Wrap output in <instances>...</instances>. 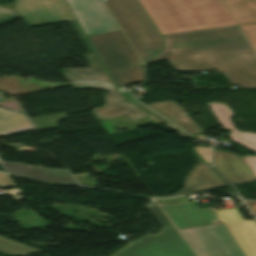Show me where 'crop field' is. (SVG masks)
I'll list each match as a JSON object with an SVG mask.
<instances>
[{"instance_id": "1", "label": "crop field", "mask_w": 256, "mask_h": 256, "mask_svg": "<svg viewBox=\"0 0 256 256\" xmlns=\"http://www.w3.org/2000/svg\"><path fill=\"white\" fill-rule=\"evenodd\" d=\"M151 63L167 59L175 71L224 72L231 85L256 88V54L239 26L164 36Z\"/></svg>"}, {"instance_id": "2", "label": "crop field", "mask_w": 256, "mask_h": 256, "mask_svg": "<svg viewBox=\"0 0 256 256\" xmlns=\"http://www.w3.org/2000/svg\"><path fill=\"white\" fill-rule=\"evenodd\" d=\"M198 256H256V223L235 207L162 206ZM232 212V213H230ZM221 220V224L213 221Z\"/></svg>"}, {"instance_id": "3", "label": "crop field", "mask_w": 256, "mask_h": 256, "mask_svg": "<svg viewBox=\"0 0 256 256\" xmlns=\"http://www.w3.org/2000/svg\"><path fill=\"white\" fill-rule=\"evenodd\" d=\"M161 34L237 25L221 0H139Z\"/></svg>"}, {"instance_id": "4", "label": "crop field", "mask_w": 256, "mask_h": 256, "mask_svg": "<svg viewBox=\"0 0 256 256\" xmlns=\"http://www.w3.org/2000/svg\"><path fill=\"white\" fill-rule=\"evenodd\" d=\"M71 24L89 53L84 55V57L91 68L60 69V71L74 89H99L109 92L103 97L106 100L105 106L100 109L92 110L91 112L93 114H95L102 121L122 115H127L130 120L147 116L159 123L177 130L181 137H185L183 132L178 130L176 127L148 115L123 97L116 90L111 79L109 78L81 29L77 25L76 21L71 22Z\"/></svg>"}, {"instance_id": "5", "label": "crop field", "mask_w": 256, "mask_h": 256, "mask_svg": "<svg viewBox=\"0 0 256 256\" xmlns=\"http://www.w3.org/2000/svg\"><path fill=\"white\" fill-rule=\"evenodd\" d=\"M106 3L142 62L161 51L164 40L138 0H106Z\"/></svg>"}, {"instance_id": "6", "label": "crop field", "mask_w": 256, "mask_h": 256, "mask_svg": "<svg viewBox=\"0 0 256 256\" xmlns=\"http://www.w3.org/2000/svg\"><path fill=\"white\" fill-rule=\"evenodd\" d=\"M117 88L143 81L140 61L121 30L88 37Z\"/></svg>"}, {"instance_id": "7", "label": "crop field", "mask_w": 256, "mask_h": 256, "mask_svg": "<svg viewBox=\"0 0 256 256\" xmlns=\"http://www.w3.org/2000/svg\"><path fill=\"white\" fill-rule=\"evenodd\" d=\"M17 17H19V14L16 10L10 11L0 7V24ZM32 129H34V127L24 114L0 108V137ZM0 164L7 172L39 180L47 182L76 183L67 170L27 166L20 163L3 162L1 159Z\"/></svg>"}, {"instance_id": "8", "label": "crop field", "mask_w": 256, "mask_h": 256, "mask_svg": "<svg viewBox=\"0 0 256 256\" xmlns=\"http://www.w3.org/2000/svg\"><path fill=\"white\" fill-rule=\"evenodd\" d=\"M149 210L162 226L157 235H147L114 256H196L159 206Z\"/></svg>"}, {"instance_id": "9", "label": "crop field", "mask_w": 256, "mask_h": 256, "mask_svg": "<svg viewBox=\"0 0 256 256\" xmlns=\"http://www.w3.org/2000/svg\"><path fill=\"white\" fill-rule=\"evenodd\" d=\"M86 36L118 30L102 0H65ZM76 20V21H77Z\"/></svg>"}, {"instance_id": "10", "label": "crop field", "mask_w": 256, "mask_h": 256, "mask_svg": "<svg viewBox=\"0 0 256 256\" xmlns=\"http://www.w3.org/2000/svg\"><path fill=\"white\" fill-rule=\"evenodd\" d=\"M15 8L28 27L74 20L63 0H16Z\"/></svg>"}, {"instance_id": "11", "label": "crop field", "mask_w": 256, "mask_h": 256, "mask_svg": "<svg viewBox=\"0 0 256 256\" xmlns=\"http://www.w3.org/2000/svg\"><path fill=\"white\" fill-rule=\"evenodd\" d=\"M213 165L232 185L256 181L240 155L213 149Z\"/></svg>"}, {"instance_id": "12", "label": "crop field", "mask_w": 256, "mask_h": 256, "mask_svg": "<svg viewBox=\"0 0 256 256\" xmlns=\"http://www.w3.org/2000/svg\"><path fill=\"white\" fill-rule=\"evenodd\" d=\"M191 152L198 162L187 175L184 187L173 195L228 186L193 150Z\"/></svg>"}, {"instance_id": "13", "label": "crop field", "mask_w": 256, "mask_h": 256, "mask_svg": "<svg viewBox=\"0 0 256 256\" xmlns=\"http://www.w3.org/2000/svg\"><path fill=\"white\" fill-rule=\"evenodd\" d=\"M208 104L215 113L220 123L222 124L223 128L232 130L229 135L233 141L256 151V134H253L251 132L243 133L235 130L230 120V116H232L233 113L228 105L217 102H211ZM243 159L256 176V157H243Z\"/></svg>"}, {"instance_id": "14", "label": "crop field", "mask_w": 256, "mask_h": 256, "mask_svg": "<svg viewBox=\"0 0 256 256\" xmlns=\"http://www.w3.org/2000/svg\"><path fill=\"white\" fill-rule=\"evenodd\" d=\"M238 25L256 22V0H222Z\"/></svg>"}, {"instance_id": "15", "label": "crop field", "mask_w": 256, "mask_h": 256, "mask_svg": "<svg viewBox=\"0 0 256 256\" xmlns=\"http://www.w3.org/2000/svg\"><path fill=\"white\" fill-rule=\"evenodd\" d=\"M173 102L166 101V102L152 103L148 106L154 109L155 111L159 112L160 114H162L163 116H165L166 118L174 122L175 124L179 125L185 131L194 129V127H192L189 123H187L184 119L180 117L186 111L182 107L178 106Z\"/></svg>"}, {"instance_id": "16", "label": "crop field", "mask_w": 256, "mask_h": 256, "mask_svg": "<svg viewBox=\"0 0 256 256\" xmlns=\"http://www.w3.org/2000/svg\"><path fill=\"white\" fill-rule=\"evenodd\" d=\"M0 252L6 253L11 256H23L42 251L0 237Z\"/></svg>"}, {"instance_id": "17", "label": "crop field", "mask_w": 256, "mask_h": 256, "mask_svg": "<svg viewBox=\"0 0 256 256\" xmlns=\"http://www.w3.org/2000/svg\"><path fill=\"white\" fill-rule=\"evenodd\" d=\"M67 118L65 114H57V115H51V116H45L37 119H31L35 126L38 128V130L42 129H48V128H55L56 123L60 119Z\"/></svg>"}, {"instance_id": "18", "label": "crop field", "mask_w": 256, "mask_h": 256, "mask_svg": "<svg viewBox=\"0 0 256 256\" xmlns=\"http://www.w3.org/2000/svg\"><path fill=\"white\" fill-rule=\"evenodd\" d=\"M240 28L256 52V24L243 25Z\"/></svg>"}, {"instance_id": "19", "label": "crop field", "mask_w": 256, "mask_h": 256, "mask_svg": "<svg viewBox=\"0 0 256 256\" xmlns=\"http://www.w3.org/2000/svg\"><path fill=\"white\" fill-rule=\"evenodd\" d=\"M74 176L79 181L80 184L96 186L95 182L88 179L90 176L88 173L76 174Z\"/></svg>"}, {"instance_id": "20", "label": "crop field", "mask_w": 256, "mask_h": 256, "mask_svg": "<svg viewBox=\"0 0 256 256\" xmlns=\"http://www.w3.org/2000/svg\"><path fill=\"white\" fill-rule=\"evenodd\" d=\"M200 156L209 164V157H210V149L203 148V147H193Z\"/></svg>"}, {"instance_id": "21", "label": "crop field", "mask_w": 256, "mask_h": 256, "mask_svg": "<svg viewBox=\"0 0 256 256\" xmlns=\"http://www.w3.org/2000/svg\"><path fill=\"white\" fill-rule=\"evenodd\" d=\"M179 202H189V200L185 196L161 200L162 204Z\"/></svg>"}, {"instance_id": "22", "label": "crop field", "mask_w": 256, "mask_h": 256, "mask_svg": "<svg viewBox=\"0 0 256 256\" xmlns=\"http://www.w3.org/2000/svg\"><path fill=\"white\" fill-rule=\"evenodd\" d=\"M182 118H184L187 122H189L192 126H194L196 129L189 131V135L192 134H198V133H202V130L196 125L194 124L188 117L187 113H185L184 115L181 116Z\"/></svg>"}, {"instance_id": "23", "label": "crop field", "mask_w": 256, "mask_h": 256, "mask_svg": "<svg viewBox=\"0 0 256 256\" xmlns=\"http://www.w3.org/2000/svg\"><path fill=\"white\" fill-rule=\"evenodd\" d=\"M138 107L142 108L143 110L147 111L148 113L160 118V119H163L162 117L158 116L157 114H155L154 112L150 111L149 109H147L146 107L142 106V105H139ZM165 120V119H163ZM166 121V120H165ZM168 122V121H167Z\"/></svg>"}]
</instances>
